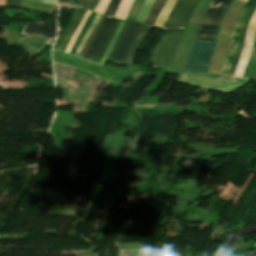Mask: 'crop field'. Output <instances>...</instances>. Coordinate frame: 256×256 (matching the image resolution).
I'll use <instances>...</instances> for the list:
<instances>
[{
  "mask_svg": "<svg viewBox=\"0 0 256 256\" xmlns=\"http://www.w3.org/2000/svg\"><path fill=\"white\" fill-rule=\"evenodd\" d=\"M103 19H104V16H102V18H101L100 21L98 22L97 26H96L95 29L93 30L92 34H91L90 37L87 39V41H86V43H85V45H84V47H83V49H82V51H81V53H80V56L83 57L84 53L86 52L87 48L89 47V45H90V43H91V41H92V39H93V37L95 36L97 30L99 29V27H100V25H101Z\"/></svg>",
  "mask_w": 256,
  "mask_h": 256,
  "instance_id": "crop-field-14",
  "label": "crop field"
},
{
  "mask_svg": "<svg viewBox=\"0 0 256 256\" xmlns=\"http://www.w3.org/2000/svg\"><path fill=\"white\" fill-rule=\"evenodd\" d=\"M32 1H37V2L46 3L50 5H54L56 3V0H32Z\"/></svg>",
  "mask_w": 256,
  "mask_h": 256,
  "instance_id": "crop-field-21",
  "label": "crop field"
},
{
  "mask_svg": "<svg viewBox=\"0 0 256 256\" xmlns=\"http://www.w3.org/2000/svg\"><path fill=\"white\" fill-rule=\"evenodd\" d=\"M94 16H95V13H92V12H91V14L88 16V18H87V20H86V22H85L83 28L81 29L79 35L77 36V38H76V40H75V42H74V44H73V46H72V48H71V50H70L69 53L74 54V52H75V50H76V48H77V46H78V44H79L81 38H82L83 35L85 34V32H86L87 28L89 27L91 21L93 20ZM82 39H83V38H82ZM81 41H82V40H81Z\"/></svg>",
  "mask_w": 256,
  "mask_h": 256,
  "instance_id": "crop-field-11",
  "label": "crop field"
},
{
  "mask_svg": "<svg viewBox=\"0 0 256 256\" xmlns=\"http://www.w3.org/2000/svg\"><path fill=\"white\" fill-rule=\"evenodd\" d=\"M242 79L244 78H238L234 76H225L221 74H205V73L192 72V73L179 74L177 80L220 91ZM248 80L249 78L223 90V92L229 93L237 89L241 85H243Z\"/></svg>",
  "mask_w": 256,
  "mask_h": 256,
  "instance_id": "crop-field-3",
  "label": "crop field"
},
{
  "mask_svg": "<svg viewBox=\"0 0 256 256\" xmlns=\"http://www.w3.org/2000/svg\"><path fill=\"white\" fill-rule=\"evenodd\" d=\"M250 256H256V251H254L253 253H250Z\"/></svg>",
  "mask_w": 256,
  "mask_h": 256,
  "instance_id": "crop-field-25",
  "label": "crop field"
},
{
  "mask_svg": "<svg viewBox=\"0 0 256 256\" xmlns=\"http://www.w3.org/2000/svg\"><path fill=\"white\" fill-rule=\"evenodd\" d=\"M255 2H256V0H248V2L244 6L243 10L241 11V13H240V15H239V17L236 21V25H235V28H234V31H233V38H232L229 54H228V57H227L224 65H223V70H222L223 74H228L229 73L232 62H233L234 57L236 55V52L238 50L239 37H240V33H241V29H242L245 17L247 15V13L249 12V10L252 8V6L254 5Z\"/></svg>",
  "mask_w": 256,
  "mask_h": 256,
  "instance_id": "crop-field-4",
  "label": "crop field"
},
{
  "mask_svg": "<svg viewBox=\"0 0 256 256\" xmlns=\"http://www.w3.org/2000/svg\"><path fill=\"white\" fill-rule=\"evenodd\" d=\"M5 0H0V5H4Z\"/></svg>",
  "mask_w": 256,
  "mask_h": 256,
  "instance_id": "crop-field-26",
  "label": "crop field"
},
{
  "mask_svg": "<svg viewBox=\"0 0 256 256\" xmlns=\"http://www.w3.org/2000/svg\"><path fill=\"white\" fill-rule=\"evenodd\" d=\"M78 10H79V9H76V10H75V12H74V14H73V16H72L70 22L66 25V27H65V28L63 29V31L61 32V34H60V36L58 37V39H57V41H56L55 46H54L53 49H55V50L57 49V47H58V45H59V43H60L61 38H62L63 35L65 34V32H66V30L68 29V27L70 26V24L73 22V20H74L76 14H77V12H78Z\"/></svg>",
  "mask_w": 256,
  "mask_h": 256,
  "instance_id": "crop-field-18",
  "label": "crop field"
},
{
  "mask_svg": "<svg viewBox=\"0 0 256 256\" xmlns=\"http://www.w3.org/2000/svg\"><path fill=\"white\" fill-rule=\"evenodd\" d=\"M20 0H6L5 6L19 7Z\"/></svg>",
  "mask_w": 256,
  "mask_h": 256,
  "instance_id": "crop-field-19",
  "label": "crop field"
},
{
  "mask_svg": "<svg viewBox=\"0 0 256 256\" xmlns=\"http://www.w3.org/2000/svg\"><path fill=\"white\" fill-rule=\"evenodd\" d=\"M86 13V9H81L78 12L74 22L72 23V25L69 27L68 31L66 32V34L64 35L59 47L57 50H62L64 51L68 42L70 41L75 29L78 27L83 15Z\"/></svg>",
  "mask_w": 256,
  "mask_h": 256,
  "instance_id": "crop-field-8",
  "label": "crop field"
},
{
  "mask_svg": "<svg viewBox=\"0 0 256 256\" xmlns=\"http://www.w3.org/2000/svg\"><path fill=\"white\" fill-rule=\"evenodd\" d=\"M99 0H91L89 5H88V9L90 10H94L95 6L97 5Z\"/></svg>",
  "mask_w": 256,
  "mask_h": 256,
  "instance_id": "crop-field-20",
  "label": "crop field"
},
{
  "mask_svg": "<svg viewBox=\"0 0 256 256\" xmlns=\"http://www.w3.org/2000/svg\"><path fill=\"white\" fill-rule=\"evenodd\" d=\"M89 1H90V0H81L80 5H81V6H84V7H87Z\"/></svg>",
  "mask_w": 256,
  "mask_h": 256,
  "instance_id": "crop-field-22",
  "label": "crop field"
},
{
  "mask_svg": "<svg viewBox=\"0 0 256 256\" xmlns=\"http://www.w3.org/2000/svg\"><path fill=\"white\" fill-rule=\"evenodd\" d=\"M123 23H124V21L121 20V22H120V24H119L117 30L115 31V33H114V35H113V37H112V39H111V41H110V43H109V45H108L106 51H105L104 54H103V57H102V59H101V61H100V64H103V62H104V60H105V57H106V55H107V53H108V51H109V49H110V47H111V45H112L114 39H115V37H116L118 31L120 30L121 26L123 25Z\"/></svg>",
  "mask_w": 256,
  "mask_h": 256,
  "instance_id": "crop-field-17",
  "label": "crop field"
},
{
  "mask_svg": "<svg viewBox=\"0 0 256 256\" xmlns=\"http://www.w3.org/2000/svg\"><path fill=\"white\" fill-rule=\"evenodd\" d=\"M188 0H177L175 5L173 6L166 22L165 25L163 26V29H165L160 41L158 42L157 46L155 47L150 60L153 62V68L156 69L157 65V59L167 42L171 32L173 31L186 3ZM199 1V0H198ZM197 0H189L174 31L172 32L168 42L166 43L159 59H158V65L157 69H168V66L171 62L173 53L175 51V48L177 46V43L180 39L181 33L183 31V27L192 12Z\"/></svg>",
  "mask_w": 256,
  "mask_h": 256,
  "instance_id": "crop-field-2",
  "label": "crop field"
},
{
  "mask_svg": "<svg viewBox=\"0 0 256 256\" xmlns=\"http://www.w3.org/2000/svg\"><path fill=\"white\" fill-rule=\"evenodd\" d=\"M229 1L230 0H213L205 13L204 19L199 27L195 42L213 43L218 20ZM232 1L233 0H231L227 5L218 23L214 44L194 43L191 48L189 60L186 65L185 71H208L210 58L214 51L221 20Z\"/></svg>",
  "mask_w": 256,
  "mask_h": 256,
  "instance_id": "crop-field-1",
  "label": "crop field"
},
{
  "mask_svg": "<svg viewBox=\"0 0 256 256\" xmlns=\"http://www.w3.org/2000/svg\"><path fill=\"white\" fill-rule=\"evenodd\" d=\"M147 27H148V25H145V24L143 25V27H142V29H141L139 35L137 36V38H136L135 41L133 42V44H132V46H131V48H130V50H129V52H128V55H127V57L125 58L123 64H125V65L128 64V60H129V58H130V56H131V54H132V52H133L135 46L137 45L139 39L141 38L142 34H143L144 31L147 29Z\"/></svg>",
  "mask_w": 256,
  "mask_h": 256,
  "instance_id": "crop-field-13",
  "label": "crop field"
},
{
  "mask_svg": "<svg viewBox=\"0 0 256 256\" xmlns=\"http://www.w3.org/2000/svg\"><path fill=\"white\" fill-rule=\"evenodd\" d=\"M142 23L137 21H129L120 41L114 52L113 56L111 57L112 60L123 62L130 45L136 38Z\"/></svg>",
  "mask_w": 256,
  "mask_h": 256,
  "instance_id": "crop-field-5",
  "label": "crop field"
},
{
  "mask_svg": "<svg viewBox=\"0 0 256 256\" xmlns=\"http://www.w3.org/2000/svg\"><path fill=\"white\" fill-rule=\"evenodd\" d=\"M80 0H73V7H79Z\"/></svg>",
  "mask_w": 256,
  "mask_h": 256,
  "instance_id": "crop-field-23",
  "label": "crop field"
},
{
  "mask_svg": "<svg viewBox=\"0 0 256 256\" xmlns=\"http://www.w3.org/2000/svg\"><path fill=\"white\" fill-rule=\"evenodd\" d=\"M114 19L106 17L104 22L102 23L100 29L98 30L96 36L94 37L90 47L84 55V59L89 61H94Z\"/></svg>",
  "mask_w": 256,
  "mask_h": 256,
  "instance_id": "crop-field-6",
  "label": "crop field"
},
{
  "mask_svg": "<svg viewBox=\"0 0 256 256\" xmlns=\"http://www.w3.org/2000/svg\"><path fill=\"white\" fill-rule=\"evenodd\" d=\"M119 21H120V20H118V19L115 20V22H114V24H113V26H112V28H111V30H110V32H109V34H108L106 40H105V42H104L103 46L101 47V49H100V51H99V53H98V55H97V57H96V59H95L94 62H96V63L99 62V60H100V58H101V56H102L104 50L106 49V47H107V45H108V43H109V41H110V39H111V37H112V35H113L115 29H116V27H117Z\"/></svg>",
  "mask_w": 256,
  "mask_h": 256,
  "instance_id": "crop-field-12",
  "label": "crop field"
},
{
  "mask_svg": "<svg viewBox=\"0 0 256 256\" xmlns=\"http://www.w3.org/2000/svg\"><path fill=\"white\" fill-rule=\"evenodd\" d=\"M22 34L36 35L48 38H55L56 35V19L46 21L44 23H29L26 25Z\"/></svg>",
  "mask_w": 256,
  "mask_h": 256,
  "instance_id": "crop-field-7",
  "label": "crop field"
},
{
  "mask_svg": "<svg viewBox=\"0 0 256 256\" xmlns=\"http://www.w3.org/2000/svg\"><path fill=\"white\" fill-rule=\"evenodd\" d=\"M121 0H111L107 10L104 12V15H108V16H114L116 10H117V7L119 5Z\"/></svg>",
  "mask_w": 256,
  "mask_h": 256,
  "instance_id": "crop-field-15",
  "label": "crop field"
},
{
  "mask_svg": "<svg viewBox=\"0 0 256 256\" xmlns=\"http://www.w3.org/2000/svg\"><path fill=\"white\" fill-rule=\"evenodd\" d=\"M166 0H155L145 24L154 25L159 13L161 12Z\"/></svg>",
  "mask_w": 256,
  "mask_h": 256,
  "instance_id": "crop-field-9",
  "label": "crop field"
},
{
  "mask_svg": "<svg viewBox=\"0 0 256 256\" xmlns=\"http://www.w3.org/2000/svg\"><path fill=\"white\" fill-rule=\"evenodd\" d=\"M127 23H128V21H125L124 25L122 26V28H121V30H120V32H119L117 38H116V41H115V43H114V45H113V47H112V49H111V51H110L108 57H107L106 60H105V63H104L105 65L107 64V62H108L110 56L112 55L113 51L115 50V48H116V46H117V44H118V41H119V39H120V37H121V35H122V33H123V31H124V29H125Z\"/></svg>",
  "mask_w": 256,
  "mask_h": 256,
  "instance_id": "crop-field-16",
  "label": "crop field"
},
{
  "mask_svg": "<svg viewBox=\"0 0 256 256\" xmlns=\"http://www.w3.org/2000/svg\"><path fill=\"white\" fill-rule=\"evenodd\" d=\"M58 2H69L71 3V0H57Z\"/></svg>",
  "mask_w": 256,
  "mask_h": 256,
  "instance_id": "crop-field-24",
  "label": "crop field"
},
{
  "mask_svg": "<svg viewBox=\"0 0 256 256\" xmlns=\"http://www.w3.org/2000/svg\"><path fill=\"white\" fill-rule=\"evenodd\" d=\"M255 8H256V3H255V5L253 6V8L250 10V12H249V14H248V16H247V18H246V20H245V23H244V26H243V30H242V33H241V38H240V47H239V50H238V52H237V55H236V57H235V60H234V62H233L232 68H231L230 73H229V74H231V75L233 74V72H234V70H235L237 60H238V58H239V56H240V54H241V50H242V46H243V40H244V33H245V29H246L247 23H248V21H249L251 15H252V13H253V11L255 10Z\"/></svg>",
  "mask_w": 256,
  "mask_h": 256,
  "instance_id": "crop-field-10",
  "label": "crop field"
}]
</instances>
